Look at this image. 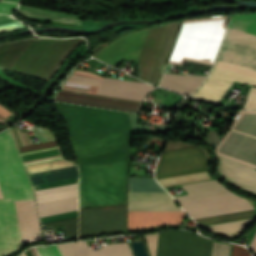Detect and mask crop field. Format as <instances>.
Returning a JSON list of instances; mask_svg holds the SVG:
<instances>
[{
	"mask_svg": "<svg viewBox=\"0 0 256 256\" xmlns=\"http://www.w3.org/2000/svg\"><path fill=\"white\" fill-rule=\"evenodd\" d=\"M22 256H61L56 245L32 247Z\"/></svg>",
	"mask_w": 256,
	"mask_h": 256,
	"instance_id": "29",
	"label": "crop field"
},
{
	"mask_svg": "<svg viewBox=\"0 0 256 256\" xmlns=\"http://www.w3.org/2000/svg\"><path fill=\"white\" fill-rule=\"evenodd\" d=\"M207 159L202 149L191 147L163 152L156 167V175L206 167Z\"/></svg>",
	"mask_w": 256,
	"mask_h": 256,
	"instance_id": "13",
	"label": "crop field"
},
{
	"mask_svg": "<svg viewBox=\"0 0 256 256\" xmlns=\"http://www.w3.org/2000/svg\"><path fill=\"white\" fill-rule=\"evenodd\" d=\"M21 27L25 25L11 17L0 15V32Z\"/></svg>",
	"mask_w": 256,
	"mask_h": 256,
	"instance_id": "30",
	"label": "crop field"
},
{
	"mask_svg": "<svg viewBox=\"0 0 256 256\" xmlns=\"http://www.w3.org/2000/svg\"><path fill=\"white\" fill-rule=\"evenodd\" d=\"M103 248L95 253L88 247L87 243L60 247L64 256H131L127 244Z\"/></svg>",
	"mask_w": 256,
	"mask_h": 256,
	"instance_id": "21",
	"label": "crop field"
},
{
	"mask_svg": "<svg viewBox=\"0 0 256 256\" xmlns=\"http://www.w3.org/2000/svg\"><path fill=\"white\" fill-rule=\"evenodd\" d=\"M234 81L256 86V14L231 16L210 75L190 97L218 105Z\"/></svg>",
	"mask_w": 256,
	"mask_h": 256,
	"instance_id": "2",
	"label": "crop field"
},
{
	"mask_svg": "<svg viewBox=\"0 0 256 256\" xmlns=\"http://www.w3.org/2000/svg\"><path fill=\"white\" fill-rule=\"evenodd\" d=\"M128 192H165L153 177H129Z\"/></svg>",
	"mask_w": 256,
	"mask_h": 256,
	"instance_id": "25",
	"label": "crop field"
},
{
	"mask_svg": "<svg viewBox=\"0 0 256 256\" xmlns=\"http://www.w3.org/2000/svg\"><path fill=\"white\" fill-rule=\"evenodd\" d=\"M205 171H207L206 168H201V169L184 171V172H179V173H174V174L157 176L155 178H156V180H159V179L171 178V177L188 175V174L205 172ZM209 179H211V178L209 177L208 173L205 172V173L176 177V178H171V179L159 180L158 182L163 187H167V186H173V185H179V184H185V183H191V182H197V181H203V180H209Z\"/></svg>",
	"mask_w": 256,
	"mask_h": 256,
	"instance_id": "24",
	"label": "crop field"
},
{
	"mask_svg": "<svg viewBox=\"0 0 256 256\" xmlns=\"http://www.w3.org/2000/svg\"><path fill=\"white\" fill-rule=\"evenodd\" d=\"M148 30L130 33L123 36L122 38L110 44L102 53L97 56V58L114 67L124 57L137 60Z\"/></svg>",
	"mask_w": 256,
	"mask_h": 256,
	"instance_id": "14",
	"label": "crop field"
},
{
	"mask_svg": "<svg viewBox=\"0 0 256 256\" xmlns=\"http://www.w3.org/2000/svg\"><path fill=\"white\" fill-rule=\"evenodd\" d=\"M0 122H1V120H0Z\"/></svg>",
	"mask_w": 256,
	"mask_h": 256,
	"instance_id": "41",
	"label": "crop field"
},
{
	"mask_svg": "<svg viewBox=\"0 0 256 256\" xmlns=\"http://www.w3.org/2000/svg\"><path fill=\"white\" fill-rule=\"evenodd\" d=\"M253 217H254V210L235 213V214H229V215H224V216L206 218V219H199V220H195V221L198 223V227H201V226L236 221V220H241V219H248V218H253Z\"/></svg>",
	"mask_w": 256,
	"mask_h": 256,
	"instance_id": "28",
	"label": "crop field"
},
{
	"mask_svg": "<svg viewBox=\"0 0 256 256\" xmlns=\"http://www.w3.org/2000/svg\"><path fill=\"white\" fill-rule=\"evenodd\" d=\"M9 115H11V113L0 106V119L3 120L5 118H7Z\"/></svg>",
	"mask_w": 256,
	"mask_h": 256,
	"instance_id": "37",
	"label": "crop field"
},
{
	"mask_svg": "<svg viewBox=\"0 0 256 256\" xmlns=\"http://www.w3.org/2000/svg\"><path fill=\"white\" fill-rule=\"evenodd\" d=\"M250 220H243L237 222L224 223L206 227L209 230L223 234L227 237L240 234L251 222Z\"/></svg>",
	"mask_w": 256,
	"mask_h": 256,
	"instance_id": "27",
	"label": "crop field"
},
{
	"mask_svg": "<svg viewBox=\"0 0 256 256\" xmlns=\"http://www.w3.org/2000/svg\"><path fill=\"white\" fill-rule=\"evenodd\" d=\"M220 173L242 189L256 193V170L218 156Z\"/></svg>",
	"mask_w": 256,
	"mask_h": 256,
	"instance_id": "19",
	"label": "crop field"
},
{
	"mask_svg": "<svg viewBox=\"0 0 256 256\" xmlns=\"http://www.w3.org/2000/svg\"><path fill=\"white\" fill-rule=\"evenodd\" d=\"M216 154L256 169V111H238Z\"/></svg>",
	"mask_w": 256,
	"mask_h": 256,
	"instance_id": "8",
	"label": "crop field"
},
{
	"mask_svg": "<svg viewBox=\"0 0 256 256\" xmlns=\"http://www.w3.org/2000/svg\"><path fill=\"white\" fill-rule=\"evenodd\" d=\"M201 68L210 69L211 66L193 62L191 66V72L198 73Z\"/></svg>",
	"mask_w": 256,
	"mask_h": 256,
	"instance_id": "36",
	"label": "crop field"
},
{
	"mask_svg": "<svg viewBox=\"0 0 256 256\" xmlns=\"http://www.w3.org/2000/svg\"><path fill=\"white\" fill-rule=\"evenodd\" d=\"M227 16L183 20L168 63L183 60L212 65L226 35Z\"/></svg>",
	"mask_w": 256,
	"mask_h": 256,
	"instance_id": "6",
	"label": "crop field"
},
{
	"mask_svg": "<svg viewBox=\"0 0 256 256\" xmlns=\"http://www.w3.org/2000/svg\"><path fill=\"white\" fill-rule=\"evenodd\" d=\"M127 230V205L80 209L79 237Z\"/></svg>",
	"mask_w": 256,
	"mask_h": 256,
	"instance_id": "11",
	"label": "crop field"
},
{
	"mask_svg": "<svg viewBox=\"0 0 256 256\" xmlns=\"http://www.w3.org/2000/svg\"><path fill=\"white\" fill-rule=\"evenodd\" d=\"M154 89L147 83L104 78L97 94L142 101Z\"/></svg>",
	"mask_w": 256,
	"mask_h": 256,
	"instance_id": "17",
	"label": "crop field"
},
{
	"mask_svg": "<svg viewBox=\"0 0 256 256\" xmlns=\"http://www.w3.org/2000/svg\"><path fill=\"white\" fill-rule=\"evenodd\" d=\"M24 246L43 240L35 199H15Z\"/></svg>",
	"mask_w": 256,
	"mask_h": 256,
	"instance_id": "18",
	"label": "crop field"
},
{
	"mask_svg": "<svg viewBox=\"0 0 256 256\" xmlns=\"http://www.w3.org/2000/svg\"><path fill=\"white\" fill-rule=\"evenodd\" d=\"M249 246L254 250V252L256 253V233L253 236L252 240L249 243Z\"/></svg>",
	"mask_w": 256,
	"mask_h": 256,
	"instance_id": "38",
	"label": "crop field"
},
{
	"mask_svg": "<svg viewBox=\"0 0 256 256\" xmlns=\"http://www.w3.org/2000/svg\"><path fill=\"white\" fill-rule=\"evenodd\" d=\"M14 129H15V132L17 134V137H18V140H19L21 146H23L24 144L25 145L32 144L28 134L26 132H24V133L20 132L21 136H22V139L24 141V144H23L18 129H16V127H14ZM14 129L12 128L13 132H14ZM35 129L47 141L55 140L52 132H50L48 130H45V129L38 128V127H35ZM35 129L32 128V130L34 131L36 137L41 142H45L46 140ZM15 132H14V135L16 137ZM17 137H16V140H17ZM18 140H17V143L19 145ZM55 144H57L56 141H52V142H46V143H40V144H35V145H30V146L19 147L18 149H19V152H21V151H26V150L40 148V147L55 145ZM18 145H17V147H18ZM20 155L22 157V160H23V163H24L25 166L32 165V164H37V163H42V162H46V161H51V160H56V159H61L62 158V155H61L57 145L50 146V147H45V148H40V149H36V150H31V151H26V152H21Z\"/></svg>",
	"mask_w": 256,
	"mask_h": 256,
	"instance_id": "12",
	"label": "crop field"
},
{
	"mask_svg": "<svg viewBox=\"0 0 256 256\" xmlns=\"http://www.w3.org/2000/svg\"><path fill=\"white\" fill-rule=\"evenodd\" d=\"M128 211L183 212L167 193H128ZM184 214L128 212V229L180 224Z\"/></svg>",
	"mask_w": 256,
	"mask_h": 256,
	"instance_id": "7",
	"label": "crop field"
},
{
	"mask_svg": "<svg viewBox=\"0 0 256 256\" xmlns=\"http://www.w3.org/2000/svg\"><path fill=\"white\" fill-rule=\"evenodd\" d=\"M231 256H251L247 249L233 244Z\"/></svg>",
	"mask_w": 256,
	"mask_h": 256,
	"instance_id": "34",
	"label": "crop field"
},
{
	"mask_svg": "<svg viewBox=\"0 0 256 256\" xmlns=\"http://www.w3.org/2000/svg\"><path fill=\"white\" fill-rule=\"evenodd\" d=\"M76 71L77 72H82V73H87V74L99 76L97 74L90 73V72H84V71H79V70H76ZM77 72H74L72 74V76L67 81L91 85L90 88L87 85H81V84L65 82V84L62 86L61 89L86 92V90L89 88L87 90L88 93L96 94L97 91H98V88L100 86V83H101V80H102V78H101L102 76L101 77H96V76H91V75L77 73Z\"/></svg>",
	"mask_w": 256,
	"mask_h": 256,
	"instance_id": "23",
	"label": "crop field"
},
{
	"mask_svg": "<svg viewBox=\"0 0 256 256\" xmlns=\"http://www.w3.org/2000/svg\"><path fill=\"white\" fill-rule=\"evenodd\" d=\"M245 109H256V88H251L248 98L245 102Z\"/></svg>",
	"mask_w": 256,
	"mask_h": 256,
	"instance_id": "31",
	"label": "crop field"
},
{
	"mask_svg": "<svg viewBox=\"0 0 256 256\" xmlns=\"http://www.w3.org/2000/svg\"><path fill=\"white\" fill-rule=\"evenodd\" d=\"M0 198H3L1 192H0Z\"/></svg>",
	"mask_w": 256,
	"mask_h": 256,
	"instance_id": "40",
	"label": "crop field"
},
{
	"mask_svg": "<svg viewBox=\"0 0 256 256\" xmlns=\"http://www.w3.org/2000/svg\"><path fill=\"white\" fill-rule=\"evenodd\" d=\"M72 137L80 170V208L126 201L133 131L126 113L56 103Z\"/></svg>",
	"mask_w": 256,
	"mask_h": 256,
	"instance_id": "1",
	"label": "crop field"
},
{
	"mask_svg": "<svg viewBox=\"0 0 256 256\" xmlns=\"http://www.w3.org/2000/svg\"><path fill=\"white\" fill-rule=\"evenodd\" d=\"M204 78L205 77L165 73L160 86L188 95L196 90Z\"/></svg>",
	"mask_w": 256,
	"mask_h": 256,
	"instance_id": "22",
	"label": "crop field"
},
{
	"mask_svg": "<svg viewBox=\"0 0 256 256\" xmlns=\"http://www.w3.org/2000/svg\"><path fill=\"white\" fill-rule=\"evenodd\" d=\"M215 241L181 231L159 233L157 256H213Z\"/></svg>",
	"mask_w": 256,
	"mask_h": 256,
	"instance_id": "10",
	"label": "crop field"
},
{
	"mask_svg": "<svg viewBox=\"0 0 256 256\" xmlns=\"http://www.w3.org/2000/svg\"><path fill=\"white\" fill-rule=\"evenodd\" d=\"M146 237V241L149 247V251L151 256H154V247H155V238H156V234H147L145 235ZM157 237H158V233H157ZM156 246H157V238H156ZM155 255H156V247H155Z\"/></svg>",
	"mask_w": 256,
	"mask_h": 256,
	"instance_id": "33",
	"label": "crop field"
},
{
	"mask_svg": "<svg viewBox=\"0 0 256 256\" xmlns=\"http://www.w3.org/2000/svg\"><path fill=\"white\" fill-rule=\"evenodd\" d=\"M230 245L216 243L214 256H228Z\"/></svg>",
	"mask_w": 256,
	"mask_h": 256,
	"instance_id": "32",
	"label": "crop field"
},
{
	"mask_svg": "<svg viewBox=\"0 0 256 256\" xmlns=\"http://www.w3.org/2000/svg\"><path fill=\"white\" fill-rule=\"evenodd\" d=\"M189 195L177 197L182 207L239 198L216 180L184 185Z\"/></svg>",
	"mask_w": 256,
	"mask_h": 256,
	"instance_id": "15",
	"label": "crop field"
},
{
	"mask_svg": "<svg viewBox=\"0 0 256 256\" xmlns=\"http://www.w3.org/2000/svg\"><path fill=\"white\" fill-rule=\"evenodd\" d=\"M53 100L139 112L142 102L58 90Z\"/></svg>",
	"mask_w": 256,
	"mask_h": 256,
	"instance_id": "16",
	"label": "crop field"
},
{
	"mask_svg": "<svg viewBox=\"0 0 256 256\" xmlns=\"http://www.w3.org/2000/svg\"><path fill=\"white\" fill-rule=\"evenodd\" d=\"M39 211L40 222L78 217L79 171L65 159L25 167ZM78 218L45 223L63 225L66 237L77 236Z\"/></svg>",
	"mask_w": 256,
	"mask_h": 256,
	"instance_id": "3",
	"label": "crop field"
},
{
	"mask_svg": "<svg viewBox=\"0 0 256 256\" xmlns=\"http://www.w3.org/2000/svg\"><path fill=\"white\" fill-rule=\"evenodd\" d=\"M17 11L22 14L34 15L39 17H45V18H51V19L81 24L80 16L59 14V13H55L47 10L36 9L31 7H21V6L18 8Z\"/></svg>",
	"mask_w": 256,
	"mask_h": 256,
	"instance_id": "26",
	"label": "crop field"
},
{
	"mask_svg": "<svg viewBox=\"0 0 256 256\" xmlns=\"http://www.w3.org/2000/svg\"><path fill=\"white\" fill-rule=\"evenodd\" d=\"M252 206L244 198L207 204L183 209L194 219L251 210Z\"/></svg>",
	"mask_w": 256,
	"mask_h": 256,
	"instance_id": "20",
	"label": "crop field"
},
{
	"mask_svg": "<svg viewBox=\"0 0 256 256\" xmlns=\"http://www.w3.org/2000/svg\"><path fill=\"white\" fill-rule=\"evenodd\" d=\"M181 21L151 28L138 59L139 78L158 85Z\"/></svg>",
	"mask_w": 256,
	"mask_h": 256,
	"instance_id": "9",
	"label": "crop field"
},
{
	"mask_svg": "<svg viewBox=\"0 0 256 256\" xmlns=\"http://www.w3.org/2000/svg\"><path fill=\"white\" fill-rule=\"evenodd\" d=\"M82 40L27 39L1 43L0 68L49 80Z\"/></svg>",
	"mask_w": 256,
	"mask_h": 256,
	"instance_id": "5",
	"label": "crop field"
},
{
	"mask_svg": "<svg viewBox=\"0 0 256 256\" xmlns=\"http://www.w3.org/2000/svg\"><path fill=\"white\" fill-rule=\"evenodd\" d=\"M16 7V5L0 3V13H6L11 15Z\"/></svg>",
	"mask_w": 256,
	"mask_h": 256,
	"instance_id": "35",
	"label": "crop field"
},
{
	"mask_svg": "<svg viewBox=\"0 0 256 256\" xmlns=\"http://www.w3.org/2000/svg\"><path fill=\"white\" fill-rule=\"evenodd\" d=\"M1 2H6V3H13V4H18L19 0H0Z\"/></svg>",
	"mask_w": 256,
	"mask_h": 256,
	"instance_id": "39",
	"label": "crop field"
},
{
	"mask_svg": "<svg viewBox=\"0 0 256 256\" xmlns=\"http://www.w3.org/2000/svg\"><path fill=\"white\" fill-rule=\"evenodd\" d=\"M0 256L23 247L14 198H35L11 131L0 134Z\"/></svg>",
	"mask_w": 256,
	"mask_h": 256,
	"instance_id": "4",
	"label": "crop field"
}]
</instances>
